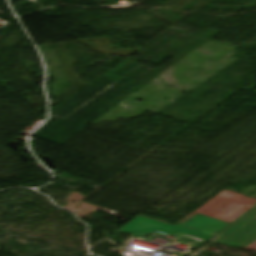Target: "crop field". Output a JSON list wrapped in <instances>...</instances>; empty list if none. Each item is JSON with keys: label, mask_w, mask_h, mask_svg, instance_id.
<instances>
[{"label": "crop field", "mask_w": 256, "mask_h": 256, "mask_svg": "<svg viewBox=\"0 0 256 256\" xmlns=\"http://www.w3.org/2000/svg\"><path fill=\"white\" fill-rule=\"evenodd\" d=\"M119 230L138 236L149 232L172 238L182 233L217 244L245 248L256 240V205L231 224L200 214L182 226L137 216ZM211 232L216 236L211 238Z\"/></svg>", "instance_id": "8a807250"}, {"label": "crop field", "mask_w": 256, "mask_h": 256, "mask_svg": "<svg viewBox=\"0 0 256 256\" xmlns=\"http://www.w3.org/2000/svg\"><path fill=\"white\" fill-rule=\"evenodd\" d=\"M252 205L219 197L200 214L207 215L231 223Z\"/></svg>", "instance_id": "ac0d7876"}]
</instances>
